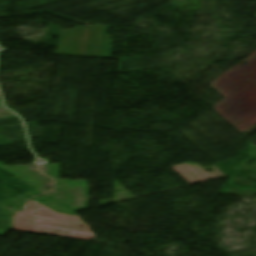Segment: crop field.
I'll return each mask as SVG.
<instances>
[{
    "mask_svg": "<svg viewBox=\"0 0 256 256\" xmlns=\"http://www.w3.org/2000/svg\"><path fill=\"white\" fill-rule=\"evenodd\" d=\"M108 27L86 26L62 31L57 53L110 57L112 40L107 35ZM85 56V55H83Z\"/></svg>",
    "mask_w": 256,
    "mask_h": 256,
    "instance_id": "obj_1",
    "label": "crop field"
}]
</instances>
